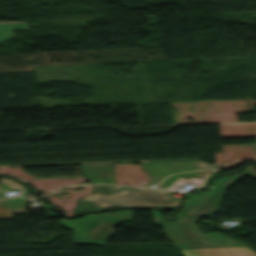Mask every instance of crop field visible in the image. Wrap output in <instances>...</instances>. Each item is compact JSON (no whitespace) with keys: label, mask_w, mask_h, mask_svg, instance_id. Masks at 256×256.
<instances>
[{"label":"crop field","mask_w":256,"mask_h":256,"mask_svg":"<svg viewBox=\"0 0 256 256\" xmlns=\"http://www.w3.org/2000/svg\"><path fill=\"white\" fill-rule=\"evenodd\" d=\"M243 161H235V162H233V163H231V164H229V165H226V166H224V167H222L223 169H228V168H233V167H235V166H237L238 164H240V163H242Z\"/></svg>","instance_id":"obj_5"},{"label":"crop field","mask_w":256,"mask_h":256,"mask_svg":"<svg viewBox=\"0 0 256 256\" xmlns=\"http://www.w3.org/2000/svg\"><path fill=\"white\" fill-rule=\"evenodd\" d=\"M180 250L185 256H256V253H254L249 247L196 248Z\"/></svg>","instance_id":"obj_1"},{"label":"crop field","mask_w":256,"mask_h":256,"mask_svg":"<svg viewBox=\"0 0 256 256\" xmlns=\"http://www.w3.org/2000/svg\"><path fill=\"white\" fill-rule=\"evenodd\" d=\"M29 29L25 23H1L0 41L12 36L11 30Z\"/></svg>","instance_id":"obj_3"},{"label":"crop field","mask_w":256,"mask_h":256,"mask_svg":"<svg viewBox=\"0 0 256 256\" xmlns=\"http://www.w3.org/2000/svg\"><path fill=\"white\" fill-rule=\"evenodd\" d=\"M223 153H216V166L238 158H256V144L223 145Z\"/></svg>","instance_id":"obj_2"},{"label":"crop field","mask_w":256,"mask_h":256,"mask_svg":"<svg viewBox=\"0 0 256 256\" xmlns=\"http://www.w3.org/2000/svg\"><path fill=\"white\" fill-rule=\"evenodd\" d=\"M239 174H243L245 176L256 179V171L252 167H246V169Z\"/></svg>","instance_id":"obj_4"}]
</instances>
